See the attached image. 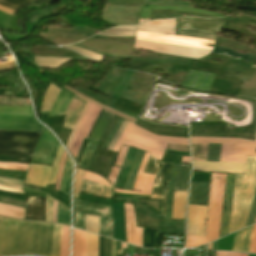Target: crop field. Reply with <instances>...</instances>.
I'll return each instance as SVG.
<instances>
[{
    "instance_id": "crop-field-27",
    "label": "crop field",
    "mask_w": 256,
    "mask_h": 256,
    "mask_svg": "<svg viewBox=\"0 0 256 256\" xmlns=\"http://www.w3.org/2000/svg\"><path fill=\"white\" fill-rule=\"evenodd\" d=\"M187 192L175 191L172 218L184 219Z\"/></svg>"
},
{
    "instance_id": "crop-field-14",
    "label": "crop field",
    "mask_w": 256,
    "mask_h": 256,
    "mask_svg": "<svg viewBox=\"0 0 256 256\" xmlns=\"http://www.w3.org/2000/svg\"><path fill=\"white\" fill-rule=\"evenodd\" d=\"M214 76L205 72L189 70L181 86L209 91Z\"/></svg>"
},
{
    "instance_id": "crop-field-79",
    "label": "crop field",
    "mask_w": 256,
    "mask_h": 256,
    "mask_svg": "<svg viewBox=\"0 0 256 256\" xmlns=\"http://www.w3.org/2000/svg\"><path fill=\"white\" fill-rule=\"evenodd\" d=\"M240 256H248V255L240 254Z\"/></svg>"
},
{
    "instance_id": "crop-field-30",
    "label": "crop field",
    "mask_w": 256,
    "mask_h": 256,
    "mask_svg": "<svg viewBox=\"0 0 256 256\" xmlns=\"http://www.w3.org/2000/svg\"><path fill=\"white\" fill-rule=\"evenodd\" d=\"M86 233L73 229L72 256H84Z\"/></svg>"
},
{
    "instance_id": "crop-field-5",
    "label": "crop field",
    "mask_w": 256,
    "mask_h": 256,
    "mask_svg": "<svg viewBox=\"0 0 256 256\" xmlns=\"http://www.w3.org/2000/svg\"><path fill=\"white\" fill-rule=\"evenodd\" d=\"M224 24L225 22L220 20L179 18L176 35L215 40L216 31H220Z\"/></svg>"
},
{
    "instance_id": "crop-field-11",
    "label": "crop field",
    "mask_w": 256,
    "mask_h": 256,
    "mask_svg": "<svg viewBox=\"0 0 256 256\" xmlns=\"http://www.w3.org/2000/svg\"><path fill=\"white\" fill-rule=\"evenodd\" d=\"M58 145L52 134L45 128L31 161L52 163Z\"/></svg>"
},
{
    "instance_id": "crop-field-28",
    "label": "crop field",
    "mask_w": 256,
    "mask_h": 256,
    "mask_svg": "<svg viewBox=\"0 0 256 256\" xmlns=\"http://www.w3.org/2000/svg\"><path fill=\"white\" fill-rule=\"evenodd\" d=\"M112 117L113 114L103 110L89 138L98 141Z\"/></svg>"
},
{
    "instance_id": "crop-field-48",
    "label": "crop field",
    "mask_w": 256,
    "mask_h": 256,
    "mask_svg": "<svg viewBox=\"0 0 256 256\" xmlns=\"http://www.w3.org/2000/svg\"><path fill=\"white\" fill-rule=\"evenodd\" d=\"M84 173H85L84 170L77 168L75 182H74V197H76V198H78V196H79Z\"/></svg>"
},
{
    "instance_id": "crop-field-58",
    "label": "crop field",
    "mask_w": 256,
    "mask_h": 256,
    "mask_svg": "<svg viewBox=\"0 0 256 256\" xmlns=\"http://www.w3.org/2000/svg\"><path fill=\"white\" fill-rule=\"evenodd\" d=\"M166 149L189 153L188 146H183V145L168 144Z\"/></svg>"
},
{
    "instance_id": "crop-field-40",
    "label": "crop field",
    "mask_w": 256,
    "mask_h": 256,
    "mask_svg": "<svg viewBox=\"0 0 256 256\" xmlns=\"http://www.w3.org/2000/svg\"><path fill=\"white\" fill-rule=\"evenodd\" d=\"M97 242L98 236L87 233L85 256H97Z\"/></svg>"
},
{
    "instance_id": "crop-field-16",
    "label": "crop field",
    "mask_w": 256,
    "mask_h": 256,
    "mask_svg": "<svg viewBox=\"0 0 256 256\" xmlns=\"http://www.w3.org/2000/svg\"><path fill=\"white\" fill-rule=\"evenodd\" d=\"M234 179L235 175H227L219 238L226 235L229 214L232 205Z\"/></svg>"
},
{
    "instance_id": "crop-field-51",
    "label": "crop field",
    "mask_w": 256,
    "mask_h": 256,
    "mask_svg": "<svg viewBox=\"0 0 256 256\" xmlns=\"http://www.w3.org/2000/svg\"><path fill=\"white\" fill-rule=\"evenodd\" d=\"M255 219H256V189L254 192V196H253V200H252V204H251V208H250L246 226L254 223Z\"/></svg>"
},
{
    "instance_id": "crop-field-13",
    "label": "crop field",
    "mask_w": 256,
    "mask_h": 256,
    "mask_svg": "<svg viewBox=\"0 0 256 256\" xmlns=\"http://www.w3.org/2000/svg\"><path fill=\"white\" fill-rule=\"evenodd\" d=\"M245 163H214L193 161L194 170L243 174Z\"/></svg>"
},
{
    "instance_id": "crop-field-18",
    "label": "crop field",
    "mask_w": 256,
    "mask_h": 256,
    "mask_svg": "<svg viewBox=\"0 0 256 256\" xmlns=\"http://www.w3.org/2000/svg\"><path fill=\"white\" fill-rule=\"evenodd\" d=\"M210 183L191 181L188 204L208 206Z\"/></svg>"
},
{
    "instance_id": "crop-field-65",
    "label": "crop field",
    "mask_w": 256,
    "mask_h": 256,
    "mask_svg": "<svg viewBox=\"0 0 256 256\" xmlns=\"http://www.w3.org/2000/svg\"><path fill=\"white\" fill-rule=\"evenodd\" d=\"M14 66H15L14 62L0 64V71L10 69V68H14Z\"/></svg>"
},
{
    "instance_id": "crop-field-47",
    "label": "crop field",
    "mask_w": 256,
    "mask_h": 256,
    "mask_svg": "<svg viewBox=\"0 0 256 256\" xmlns=\"http://www.w3.org/2000/svg\"><path fill=\"white\" fill-rule=\"evenodd\" d=\"M57 222L69 225V211L60 203H58Z\"/></svg>"
},
{
    "instance_id": "crop-field-29",
    "label": "crop field",
    "mask_w": 256,
    "mask_h": 256,
    "mask_svg": "<svg viewBox=\"0 0 256 256\" xmlns=\"http://www.w3.org/2000/svg\"><path fill=\"white\" fill-rule=\"evenodd\" d=\"M144 155H145V152H142L139 150L137 151L123 189H128V190L133 189L136 174Z\"/></svg>"
},
{
    "instance_id": "crop-field-76",
    "label": "crop field",
    "mask_w": 256,
    "mask_h": 256,
    "mask_svg": "<svg viewBox=\"0 0 256 256\" xmlns=\"http://www.w3.org/2000/svg\"><path fill=\"white\" fill-rule=\"evenodd\" d=\"M255 141H256V124H255Z\"/></svg>"
},
{
    "instance_id": "crop-field-72",
    "label": "crop field",
    "mask_w": 256,
    "mask_h": 256,
    "mask_svg": "<svg viewBox=\"0 0 256 256\" xmlns=\"http://www.w3.org/2000/svg\"><path fill=\"white\" fill-rule=\"evenodd\" d=\"M101 112H102V109H101V111H100V113H99V115H98V117H97L96 121L98 120V118H99V116H100ZM96 121H95V123H96ZM95 123H94V125H95ZM94 125H93V127H94ZM93 127H92V129H93ZM92 129H91V131H92ZM91 131L89 132V134H88L87 138L89 137V135H90Z\"/></svg>"
},
{
    "instance_id": "crop-field-49",
    "label": "crop field",
    "mask_w": 256,
    "mask_h": 256,
    "mask_svg": "<svg viewBox=\"0 0 256 256\" xmlns=\"http://www.w3.org/2000/svg\"><path fill=\"white\" fill-rule=\"evenodd\" d=\"M63 47H68V48H70V49H72V50H74V51H76V52H78V53H80V54H83V55H85V56H87V57H90V58H92V59H94V60H97V61H100V62H101L102 59H103V56H100V55H98V54L89 52V51L84 50V49H81V48H78V47L73 46V45L63 46Z\"/></svg>"
},
{
    "instance_id": "crop-field-60",
    "label": "crop field",
    "mask_w": 256,
    "mask_h": 256,
    "mask_svg": "<svg viewBox=\"0 0 256 256\" xmlns=\"http://www.w3.org/2000/svg\"><path fill=\"white\" fill-rule=\"evenodd\" d=\"M132 125H133L132 123H129V125H128V127L126 128L125 132L123 133L121 139L119 140L118 144H117L116 147L114 148V151H118V150H119V148H120L121 145H122L123 140L126 138V136H127L128 132H129L130 128L132 127Z\"/></svg>"
},
{
    "instance_id": "crop-field-8",
    "label": "crop field",
    "mask_w": 256,
    "mask_h": 256,
    "mask_svg": "<svg viewBox=\"0 0 256 256\" xmlns=\"http://www.w3.org/2000/svg\"><path fill=\"white\" fill-rule=\"evenodd\" d=\"M135 48L150 50L157 53L195 58V59H199L205 55H208L211 52L209 50L193 49V48H186V47L139 42V41H136Z\"/></svg>"
},
{
    "instance_id": "crop-field-41",
    "label": "crop field",
    "mask_w": 256,
    "mask_h": 256,
    "mask_svg": "<svg viewBox=\"0 0 256 256\" xmlns=\"http://www.w3.org/2000/svg\"><path fill=\"white\" fill-rule=\"evenodd\" d=\"M63 87L67 88L68 90H70L71 92L75 93L76 95H78V96H80V97L86 99L87 101H89V102H91V103H93V104H95V105H97V106H99V107H101V108H103V109H105V110H107V111L113 113V114H116V115H118V116H121V117H123V118H125V119H127V120H129V121H131V122H135V119H133V118H131V117H129V116H127V115H125V114H123V113H121V112H119V111L113 109V108L103 106V105H101V104H99V103H97V102L91 100L90 98H88V97H86V96H84V95H82V94H80V93L74 91L73 89H71V88L68 87V86H63Z\"/></svg>"
},
{
    "instance_id": "crop-field-43",
    "label": "crop field",
    "mask_w": 256,
    "mask_h": 256,
    "mask_svg": "<svg viewBox=\"0 0 256 256\" xmlns=\"http://www.w3.org/2000/svg\"><path fill=\"white\" fill-rule=\"evenodd\" d=\"M61 230H62V226L56 224L51 256H59L60 241H61Z\"/></svg>"
},
{
    "instance_id": "crop-field-3",
    "label": "crop field",
    "mask_w": 256,
    "mask_h": 256,
    "mask_svg": "<svg viewBox=\"0 0 256 256\" xmlns=\"http://www.w3.org/2000/svg\"><path fill=\"white\" fill-rule=\"evenodd\" d=\"M31 107L0 106V130L42 131Z\"/></svg>"
},
{
    "instance_id": "crop-field-23",
    "label": "crop field",
    "mask_w": 256,
    "mask_h": 256,
    "mask_svg": "<svg viewBox=\"0 0 256 256\" xmlns=\"http://www.w3.org/2000/svg\"><path fill=\"white\" fill-rule=\"evenodd\" d=\"M85 102L86 100L75 95L66 112L67 116L64 121V125H63L64 128H67V129L73 128L74 122L78 117V115L80 114Z\"/></svg>"
},
{
    "instance_id": "crop-field-68",
    "label": "crop field",
    "mask_w": 256,
    "mask_h": 256,
    "mask_svg": "<svg viewBox=\"0 0 256 256\" xmlns=\"http://www.w3.org/2000/svg\"><path fill=\"white\" fill-rule=\"evenodd\" d=\"M9 1L23 6V5H25V4H27V3L31 2V1H34V0H9Z\"/></svg>"
},
{
    "instance_id": "crop-field-9",
    "label": "crop field",
    "mask_w": 256,
    "mask_h": 256,
    "mask_svg": "<svg viewBox=\"0 0 256 256\" xmlns=\"http://www.w3.org/2000/svg\"><path fill=\"white\" fill-rule=\"evenodd\" d=\"M85 214L112 218L111 207L73 200V227L84 230Z\"/></svg>"
},
{
    "instance_id": "crop-field-67",
    "label": "crop field",
    "mask_w": 256,
    "mask_h": 256,
    "mask_svg": "<svg viewBox=\"0 0 256 256\" xmlns=\"http://www.w3.org/2000/svg\"><path fill=\"white\" fill-rule=\"evenodd\" d=\"M1 182H7V183H16L21 185V181L19 180H14V179H9V178H0Z\"/></svg>"
},
{
    "instance_id": "crop-field-21",
    "label": "crop field",
    "mask_w": 256,
    "mask_h": 256,
    "mask_svg": "<svg viewBox=\"0 0 256 256\" xmlns=\"http://www.w3.org/2000/svg\"><path fill=\"white\" fill-rule=\"evenodd\" d=\"M175 28V19H172L147 22L139 25L137 30L175 35Z\"/></svg>"
},
{
    "instance_id": "crop-field-54",
    "label": "crop field",
    "mask_w": 256,
    "mask_h": 256,
    "mask_svg": "<svg viewBox=\"0 0 256 256\" xmlns=\"http://www.w3.org/2000/svg\"><path fill=\"white\" fill-rule=\"evenodd\" d=\"M123 122V119L119 118L117 124L115 125V127L113 128V130L111 131V133L109 134L108 138L106 139V141L103 144L104 149H107L109 143L111 142L113 136L115 135L117 129L119 128V126L121 125V123Z\"/></svg>"
},
{
    "instance_id": "crop-field-22",
    "label": "crop field",
    "mask_w": 256,
    "mask_h": 256,
    "mask_svg": "<svg viewBox=\"0 0 256 256\" xmlns=\"http://www.w3.org/2000/svg\"><path fill=\"white\" fill-rule=\"evenodd\" d=\"M25 219L44 221V199L33 196L28 197Z\"/></svg>"
},
{
    "instance_id": "crop-field-37",
    "label": "crop field",
    "mask_w": 256,
    "mask_h": 256,
    "mask_svg": "<svg viewBox=\"0 0 256 256\" xmlns=\"http://www.w3.org/2000/svg\"><path fill=\"white\" fill-rule=\"evenodd\" d=\"M24 209L0 203V215L22 219Z\"/></svg>"
},
{
    "instance_id": "crop-field-44",
    "label": "crop field",
    "mask_w": 256,
    "mask_h": 256,
    "mask_svg": "<svg viewBox=\"0 0 256 256\" xmlns=\"http://www.w3.org/2000/svg\"><path fill=\"white\" fill-rule=\"evenodd\" d=\"M221 145L208 144L207 161H219Z\"/></svg>"
},
{
    "instance_id": "crop-field-1",
    "label": "crop field",
    "mask_w": 256,
    "mask_h": 256,
    "mask_svg": "<svg viewBox=\"0 0 256 256\" xmlns=\"http://www.w3.org/2000/svg\"><path fill=\"white\" fill-rule=\"evenodd\" d=\"M54 226L0 217V256H50Z\"/></svg>"
},
{
    "instance_id": "crop-field-73",
    "label": "crop field",
    "mask_w": 256,
    "mask_h": 256,
    "mask_svg": "<svg viewBox=\"0 0 256 256\" xmlns=\"http://www.w3.org/2000/svg\"><path fill=\"white\" fill-rule=\"evenodd\" d=\"M217 241L213 243L212 250H216Z\"/></svg>"
},
{
    "instance_id": "crop-field-46",
    "label": "crop field",
    "mask_w": 256,
    "mask_h": 256,
    "mask_svg": "<svg viewBox=\"0 0 256 256\" xmlns=\"http://www.w3.org/2000/svg\"><path fill=\"white\" fill-rule=\"evenodd\" d=\"M121 97H124L126 99L132 100L137 103H140L142 105L146 99V96L140 95L138 93L132 92L127 89H125V91L122 93Z\"/></svg>"
},
{
    "instance_id": "crop-field-52",
    "label": "crop field",
    "mask_w": 256,
    "mask_h": 256,
    "mask_svg": "<svg viewBox=\"0 0 256 256\" xmlns=\"http://www.w3.org/2000/svg\"><path fill=\"white\" fill-rule=\"evenodd\" d=\"M52 206L53 199L49 196H45V211H46V221L52 222Z\"/></svg>"
},
{
    "instance_id": "crop-field-62",
    "label": "crop field",
    "mask_w": 256,
    "mask_h": 256,
    "mask_svg": "<svg viewBox=\"0 0 256 256\" xmlns=\"http://www.w3.org/2000/svg\"><path fill=\"white\" fill-rule=\"evenodd\" d=\"M120 168L113 167L108 180L114 185Z\"/></svg>"
},
{
    "instance_id": "crop-field-45",
    "label": "crop field",
    "mask_w": 256,
    "mask_h": 256,
    "mask_svg": "<svg viewBox=\"0 0 256 256\" xmlns=\"http://www.w3.org/2000/svg\"><path fill=\"white\" fill-rule=\"evenodd\" d=\"M85 230L98 234V217L86 215Z\"/></svg>"
},
{
    "instance_id": "crop-field-20",
    "label": "crop field",
    "mask_w": 256,
    "mask_h": 256,
    "mask_svg": "<svg viewBox=\"0 0 256 256\" xmlns=\"http://www.w3.org/2000/svg\"><path fill=\"white\" fill-rule=\"evenodd\" d=\"M218 188L216 194V204H215V218H214V234L213 241L218 239L219 229H220V219H221V209L223 203L224 185L226 175L218 174Z\"/></svg>"
},
{
    "instance_id": "crop-field-10",
    "label": "crop field",
    "mask_w": 256,
    "mask_h": 256,
    "mask_svg": "<svg viewBox=\"0 0 256 256\" xmlns=\"http://www.w3.org/2000/svg\"><path fill=\"white\" fill-rule=\"evenodd\" d=\"M216 186H217V174H212L210 202H209L205 237L187 236V243L185 248L197 247L212 241Z\"/></svg>"
},
{
    "instance_id": "crop-field-74",
    "label": "crop field",
    "mask_w": 256,
    "mask_h": 256,
    "mask_svg": "<svg viewBox=\"0 0 256 256\" xmlns=\"http://www.w3.org/2000/svg\"><path fill=\"white\" fill-rule=\"evenodd\" d=\"M121 249H126V244L121 243Z\"/></svg>"
},
{
    "instance_id": "crop-field-77",
    "label": "crop field",
    "mask_w": 256,
    "mask_h": 256,
    "mask_svg": "<svg viewBox=\"0 0 256 256\" xmlns=\"http://www.w3.org/2000/svg\"><path fill=\"white\" fill-rule=\"evenodd\" d=\"M230 253H233V252H230ZM235 254H238V253H235ZM231 256H238V255L231 254Z\"/></svg>"
},
{
    "instance_id": "crop-field-33",
    "label": "crop field",
    "mask_w": 256,
    "mask_h": 256,
    "mask_svg": "<svg viewBox=\"0 0 256 256\" xmlns=\"http://www.w3.org/2000/svg\"><path fill=\"white\" fill-rule=\"evenodd\" d=\"M137 26L114 27L107 31L101 32L98 35L104 36H135Z\"/></svg>"
},
{
    "instance_id": "crop-field-69",
    "label": "crop field",
    "mask_w": 256,
    "mask_h": 256,
    "mask_svg": "<svg viewBox=\"0 0 256 256\" xmlns=\"http://www.w3.org/2000/svg\"><path fill=\"white\" fill-rule=\"evenodd\" d=\"M122 252H123V250L115 251V241L113 240L112 254H111V256H116V254H122Z\"/></svg>"
},
{
    "instance_id": "crop-field-50",
    "label": "crop field",
    "mask_w": 256,
    "mask_h": 256,
    "mask_svg": "<svg viewBox=\"0 0 256 256\" xmlns=\"http://www.w3.org/2000/svg\"><path fill=\"white\" fill-rule=\"evenodd\" d=\"M28 164L0 163V169L26 171Z\"/></svg>"
},
{
    "instance_id": "crop-field-53",
    "label": "crop field",
    "mask_w": 256,
    "mask_h": 256,
    "mask_svg": "<svg viewBox=\"0 0 256 256\" xmlns=\"http://www.w3.org/2000/svg\"><path fill=\"white\" fill-rule=\"evenodd\" d=\"M26 172L21 171H7V170H0V176L2 177H11V178H24Z\"/></svg>"
},
{
    "instance_id": "crop-field-15",
    "label": "crop field",
    "mask_w": 256,
    "mask_h": 256,
    "mask_svg": "<svg viewBox=\"0 0 256 256\" xmlns=\"http://www.w3.org/2000/svg\"><path fill=\"white\" fill-rule=\"evenodd\" d=\"M124 207L127 242L142 247V228L136 227L134 210L130 204L124 203Z\"/></svg>"
},
{
    "instance_id": "crop-field-6",
    "label": "crop field",
    "mask_w": 256,
    "mask_h": 256,
    "mask_svg": "<svg viewBox=\"0 0 256 256\" xmlns=\"http://www.w3.org/2000/svg\"><path fill=\"white\" fill-rule=\"evenodd\" d=\"M173 163L160 162L150 155L144 172L157 175L151 198L164 199L161 201V213L166 217V199Z\"/></svg>"
},
{
    "instance_id": "crop-field-39",
    "label": "crop field",
    "mask_w": 256,
    "mask_h": 256,
    "mask_svg": "<svg viewBox=\"0 0 256 256\" xmlns=\"http://www.w3.org/2000/svg\"><path fill=\"white\" fill-rule=\"evenodd\" d=\"M71 170H72L71 161L67 156L66 165H65L61 186H60V190L67 195H69V182H70Z\"/></svg>"
},
{
    "instance_id": "crop-field-25",
    "label": "crop field",
    "mask_w": 256,
    "mask_h": 256,
    "mask_svg": "<svg viewBox=\"0 0 256 256\" xmlns=\"http://www.w3.org/2000/svg\"><path fill=\"white\" fill-rule=\"evenodd\" d=\"M96 141H91V140H83V143L81 145L80 151L77 155L76 163L79 165L83 166L86 168L96 146H97Z\"/></svg>"
},
{
    "instance_id": "crop-field-26",
    "label": "crop field",
    "mask_w": 256,
    "mask_h": 256,
    "mask_svg": "<svg viewBox=\"0 0 256 256\" xmlns=\"http://www.w3.org/2000/svg\"><path fill=\"white\" fill-rule=\"evenodd\" d=\"M150 9H172V10H181V11L203 13V14H207V15L216 16L217 18L224 17L223 15H219V14L214 13V12H208V11H202V10H196V9L180 8V7H168V6L143 5L142 9H141L140 18L149 19Z\"/></svg>"
},
{
    "instance_id": "crop-field-78",
    "label": "crop field",
    "mask_w": 256,
    "mask_h": 256,
    "mask_svg": "<svg viewBox=\"0 0 256 256\" xmlns=\"http://www.w3.org/2000/svg\"><path fill=\"white\" fill-rule=\"evenodd\" d=\"M211 246H212V243H211V244H209V250H211Z\"/></svg>"
},
{
    "instance_id": "crop-field-64",
    "label": "crop field",
    "mask_w": 256,
    "mask_h": 256,
    "mask_svg": "<svg viewBox=\"0 0 256 256\" xmlns=\"http://www.w3.org/2000/svg\"><path fill=\"white\" fill-rule=\"evenodd\" d=\"M106 236L112 238V219H110V218H108V222H107Z\"/></svg>"
},
{
    "instance_id": "crop-field-36",
    "label": "crop field",
    "mask_w": 256,
    "mask_h": 256,
    "mask_svg": "<svg viewBox=\"0 0 256 256\" xmlns=\"http://www.w3.org/2000/svg\"><path fill=\"white\" fill-rule=\"evenodd\" d=\"M178 166H179V164H174L171 181H170L169 196H168V203H167V218H169V219H171L172 200H173L175 182H176V177H177V172H178Z\"/></svg>"
},
{
    "instance_id": "crop-field-4",
    "label": "crop field",
    "mask_w": 256,
    "mask_h": 256,
    "mask_svg": "<svg viewBox=\"0 0 256 256\" xmlns=\"http://www.w3.org/2000/svg\"><path fill=\"white\" fill-rule=\"evenodd\" d=\"M39 134L0 131V155H31Z\"/></svg>"
},
{
    "instance_id": "crop-field-35",
    "label": "crop field",
    "mask_w": 256,
    "mask_h": 256,
    "mask_svg": "<svg viewBox=\"0 0 256 256\" xmlns=\"http://www.w3.org/2000/svg\"><path fill=\"white\" fill-rule=\"evenodd\" d=\"M188 172L189 164H180L175 190L186 191Z\"/></svg>"
},
{
    "instance_id": "crop-field-34",
    "label": "crop field",
    "mask_w": 256,
    "mask_h": 256,
    "mask_svg": "<svg viewBox=\"0 0 256 256\" xmlns=\"http://www.w3.org/2000/svg\"><path fill=\"white\" fill-rule=\"evenodd\" d=\"M212 52L230 56V57H234V58H238V59H242V60H246V61H250V62H252V60L255 58L254 55H250V54L244 55V54L237 53L232 49L217 47V46L214 47Z\"/></svg>"
},
{
    "instance_id": "crop-field-31",
    "label": "crop field",
    "mask_w": 256,
    "mask_h": 256,
    "mask_svg": "<svg viewBox=\"0 0 256 256\" xmlns=\"http://www.w3.org/2000/svg\"><path fill=\"white\" fill-rule=\"evenodd\" d=\"M143 247L159 248V230L143 228Z\"/></svg>"
},
{
    "instance_id": "crop-field-59",
    "label": "crop field",
    "mask_w": 256,
    "mask_h": 256,
    "mask_svg": "<svg viewBox=\"0 0 256 256\" xmlns=\"http://www.w3.org/2000/svg\"><path fill=\"white\" fill-rule=\"evenodd\" d=\"M104 251H105V238L99 236L98 256H104Z\"/></svg>"
},
{
    "instance_id": "crop-field-63",
    "label": "crop field",
    "mask_w": 256,
    "mask_h": 256,
    "mask_svg": "<svg viewBox=\"0 0 256 256\" xmlns=\"http://www.w3.org/2000/svg\"><path fill=\"white\" fill-rule=\"evenodd\" d=\"M107 218H101L99 233L105 236Z\"/></svg>"
},
{
    "instance_id": "crop-field-12",
    "label": "crop field",
    "mask_w": 256,
    "mask_h": 256,
    "mask_svg": "<svg viewBox=\"0 0 256 256\" xmlns=\"http://www.w3.org/2000/svg\"><path fill=\"white\" fill-rule=\"evenodd\" d=\"M207 207L189 205L187 235L204 236Z\"/></svg>"
},
{
    "instance_id": "crop-field-75",
    "label": "crop field",
    "mask_w": 256,
    "mask_h": 256,
    "mask_svg": "<svg viewBox=\"0 0 256 256\" xmlns=\"http://www.w3.org/2000/svg\"><path fill=\"white\" fill-rule=\"evenodd\" d=\"M146 21H149V20H140L139 24L143 23V22H146Z\"/></svg>"
},
{
    "instance_id": "crop-field-55",
    "label": "crop field",
    "mask_w": 256,
    "mask_h": 256,
    "mask_svg": "<svg viewBox=\"0 0 256 256\" xmlns=\"http://www.w3.org/2000/svg\"><path fill=\"white\" fill-rule=\"evenodd\" d=\"M88 105H89V102H86V104H85V106H84V108H83L81 114H80L79 117L77 118V120H76V122H75V125H74V128H73V131H72V134H71V136H70V138H69V140H68V142H67L66 148H68V146H69V144H70V142H71V140H72V138H73V136H74L76 127H77L78 123L81 121V119H82V117H83V115H84V113H85V111H86Z\"/></svg>"
},
{
    "instance_id": "crop-field-56",
    "label": "crop field",
    "mask_w": 256,
    "mask_h": 256,
    "mask_svg": "<svg viewBox=\"0 0 256 256\" xmlns=\"http://www.w3.org/2000/svg\"><path fill=\"white\" fill-rule=\"evenodd\" d=\"M127 124H128V121L124 120L123 124L121 125L120 129L118 130L117 134L115 135L114 139L112 140L111 144L109 145L108 150L112 151L114 145L116 144L117 140L119 139L121 133L124 131Z\"/></svg>"
},
{
    "instance_id": "crop-field-66",
    "label": "crop field",
    "mask_w": 256,
    "mask_h": 256,
    "mask_svg": "<svg viewBox=\"0 0 256 256\" xmlns=\"http://www.w3.org/2000/svg\"><path fill=\"white\" fill-rule=\"evenodd\" d=\"M111 243H112V240L106 238V251H105V256H109V255H110Z\"/></svg>"
},
{
    "instance_id": "crop-field-70",
    "label": "crop field",
    "mask_w": 256,
    "mask_h": 256,
    "mask_svg": "<svg viewBox=\"0 0 256 256\" xmlns=\"http://www.w3.org/2000/svg\"><path fill=\"white\" fill-rule=\"evenodd\" d=\"M0 11L6 12V13L11 14V15L14 14V11L9 10V9H6V8H4V7H1V6H0ZM13 16H14V15H13Z\"/></svg>"
},
{
    "instance_id": "crop-field-32",
    "label": "crop field",
    "mask_w": 256,
    "mask_h": 256,
    "mask_svg": "<svg viewBox=\"0 0 256 256\" xmlns=\"http://www.w3.org/2000/svg\"><path fill=\"white\" fill-rule=\"evenodd\" d=\"M36 63L40 67L45 68H58L61 65L71 61L72 58H41V57H34Z\"/></svg>"
},
{
    "instance_id": "crop-field-7",
    "label": "crop field",
    "mask_w": 256,
    "mask_h": 256,
    "mask_svg": "<svg viewBox=\"0 0 256 256\" xmlns=\"http://www.w3.org/2000/svg\"><path fill=\"white\" fill-rule=\"evenodd\" d=\"M62 151L63 149L59 145L56 156L54 158L52 170L51 167L48 166L30 165L27 170L24 183L43 187H45L46 184L55 183Z\"/></svg>"
},
{
    "instance_id": "crop-field-19",
    "label": "crop field",
    "mask_w": 256,
    "mask_h": 256,
    "mask_svg": "<svg viewBox=\"0 0 256 256\" xmlns=\"http://www.w3.org/2000/svg\"><path fill=\"white\" fill-rule=\"evenodd\" d=\"M75 94L62 87L50 111L41 112L42 117L65 114Z\"/></svg>"
},
{
    "instance_id": "crop-field-38",
    "label": "crop field",
    "mask_w": 256,
    "mask_h": 256,
    "mask_svg": "<svg viewBox=\"0 0 256 256\" xmlns=\"http://www.w3.org/2000/svg\"><path fill=\"white\" fill-rule=\"evenodd\" d=\"M60 89L56 88L55 86L51 85L49 86L44 98L43 103L41 107V111L50 110L58 92Z\"/></svg>"
},
{
    "instance_id": "crop-field-61",
    "label": "crop field",
    "mask_w": 256,
    "mask_h": 256,
    "mask_svg": "<svg viewBox=\"0 0 256 256\" xmlns=\"http://www.w3.org/2000/svg\"><path fill=\"white\" fill-rule=\"evenodd\" d=\"M0 5L4 6L6 8L12 9L14 11H16L17 8L21 7L19 5H16V4L6 1V0H0Z\"/></svg>"
},
{
    "instance_id": "crop-field-17",
    "label": "crop field",
    "mask_w": 256,
    "mask_h": 256,
    "mask_svg": "<svg viewBox=\"0 0 256 256\" xmlns=\"http://www.w3.org/2000/svg\"><path fill=\"white\" fill-rule=\"evenodd\" d=\"M113 187L105 186L89 181H83L81 191L91 193L94 195H98L104 198L110 199L111 196H122V197H141V198H150V196L144 195H131V194H119V193H112Z\"/></svg>"
},
{
    "instance_id": "crop-field-24",
    "label": "crop field",
    "mask_w": 256,
    "mask_h": 256,
    "mask_svg": "<svg viewBox=\"0 0 256 256\" xmlns=\"http://www.w3.org/2000/svg\"><path fill=\"white\" fill-rule=\"evenodd\" d=\"M252 227L253 225L235 233L232 251L248 253L250 247Z\"/></svg>"
},
{
    "instance_id": "crop-field-57",
    "label": "crop field",
    "mask_w": 256,
    "mask_h": 256,
    "mask_svg": "<svg viewBox=\"0 0 256 256\" xmlns=\"http://www.w3.org/2000/svg\"><path fill=\"white\" fill-rule=\"evenodd\" d=\"M0 189L7 190V191H12V192L23 193L22 188L18 185H10V184L0 183Z\"/></svg>"
},
{
    "instance_id": "crop-field-2",
    "label": "crop field",
    "mask_w": 256,
    "mask_h": 256,
    "mask_svg": "<svg viewBox=\"0 0 256 256\" xmlns=\"http://www.w3.org/2000/svg\"><path fill=\"white\" fill-rule=\"evenodd\" d=\"M256 186V157L247 156L244 175H236L228 233L245 226Z\"/></svg>"
},
{
    "instance_id": "crop-field-42",
    "label": "crop field",
    "mask_w": 256,
    "mask_h": 256,
    "mask_svg": "<svg viewBox=\"0 0 256 256\" xmlns=\"http://www.w3.org/2000/svg\"><path fill=\"white\" fill-rule=\"evenodd\" d=\"M193 160L206 161L207 144H191Z\"/></svg>"
},
{
    "instance_id": "crop-field-71",
    "label": "crop field",
    "mask_w": 256,
    "mask_h": 256,
    "mask_svg": "<svg viewBox=\"0 0 256 256\" xmlns=\"http://www.w3.org/2000/svg\"><path fill=\"white\" fill-rule=\"evenodd\" d=\"M217 256H229V252H217Z\"/></svg>"
}]
</instances>
